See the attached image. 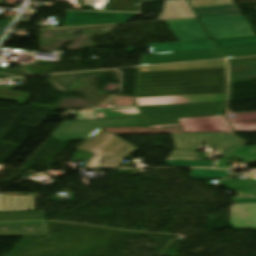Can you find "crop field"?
I'll list each match as a JSON object with an SVG mask.
<instances>
[{
  "label": "crop field",
  "instance_id": "crop-field-1",
  "mask_svg": "<svg viewBox=\"0 0 256 256\" xmlns=\"http://www.w3.org/2000/svg\"><path fill=\"white\" fill-rule=\"evenodd\" d=\"M222 60L139 68L135 98L161 96L160 88L225 84Z\"/></svg>",
  "mask_w": 256,
  "mask_h": 256
},
{
  "label": "crop field",
  "instance_id": "crop-field-2",
  "mask_svg": "<svg viewBox=\"0 0 256 256\" xmlns=\"http://www.w3.org/2000/svg\"><path fill=\"white\" fill-rule=\"evenodd\" d=\"M176 149H193V151H172L168 160H196L199 154L194 151L204 144L222 152L223 157L250 143L235 136L234 133L171 134Z\"/></svg>",
  "mask_w": 256,
  "mask_h": 256
},
{
  "label": "crop field",
  "instance_id": "crop-field-3",
  "mask_svg": "<svg viewBox=\"0 0 256 256\" xmlns=\"http://www.w3.org/2000/svg\"><path fill=\"white\" fill-rule=\"evenodd\" d=\"M143 125L180 124L178 118L224 115L225 102L139 107Z\"/></svg>",
  "mask_w": 256,
  "mask_h": 256
},
{
  "label": "crop field",
  "instance_id": "crop-field-4",
  "mask_svg": "<svg viewBox=\"0 0 256 256\" xmlns=\"http://www.w3.org/2000/svg\"><path fill=\"white\" fill-rule=\"evenodd\" d=\"M77 150L95 153L89 163L92 168L118 167L137 148L121 138L101 131L82 144Z\"/></svg>",
  "mask_w": 256,
  "mask_h": 256
},
{
  "label": "crop field",
  "instance_id": "crop-field-5",
  "mask_svg": "<svg viewBox=\"0 0 256 256\" xmlns=\"http://www.w3.org/2000/svg\"><path fill=\"white\" fill-rule=\"evenodd\" d=\"M142 117L63 121L51 135L58 141L87 140L101 128L141 126Z\"/></svg>",
  "mask_w": 256,
  "mask_h": 256
},
{
  "label": "crop field",
  "instance_id": "crop-field-6",
  "mask_svg": "<svg viewBox=\"0 0 256 256\" xmlns=\"http://www.w3.org/2000/svg\"><path fill=\"white\" fill-rule=\"evenodd\" d=\"M212 39L253 35L248 21L243 16L200 18Z\"/></svg>",
  "mask_w": 256,
  "mask_h": 256
},
{
  "label": "crop field",
  "instance_id": "crop-field-7",
  "mask_svg": "<svg viewBox=\"0 0 256 256\" xmlns=\"http://www.w3.org/2000/svg\"><path fill=\"white\" fill-rule=\"evenodd\" d=\"M137 14L67 12L63 27L127 22Z\"/></svg>",
  "mask_w": 256,
  "mask_h": 256
},
{
  "label": "crop field",
  "instance_id": "crop-field-8",
  "mask_svg": "<svg viewBox=\"0 0 256 256\" xmlns=\"http://www.w3.org/2000/svg\"><path fill=\"white\" fill-rule=\"evenodd\" d=\"M185 133L202 132H232L231 127L224 120L223 116L179 119ZM178 126V125H171ZM161 127V126H152Z\"/></svg>",
  "mask_w": 256,
  "mask_h": 256
},
{
  "label": "crop field",
  "instance_id": "crop-field-9",
  "mask_svg": "<svg viewBox=\"0 0 256 256\" xmlns=\"http://www.w3.org/2000/svg\"><path fill=\"white\" fill-rule=\"evenodd\" d=\"M220 59L216 50L142 56L140 65Z\"/></svg>",
  "mask_w": 256,
  "mask_h": 256
},
{
  "label": "crop field",
  "instance_id": "crop-field-10",
  "mask_svg": "<svg viewBox=\"0 0 256 256\" xmlns=\"http://www.w3.org/2000/svg\"><path fill=\"white\" fill-rule=\"evenodd\" d=\"M0 236H46V221L0 222Z\"/></svg>",
  "mask_w": 256,
  "mask_h": 256
},
{
  "label": "crop field",
  "instance_id": "crop-field-11",
  "mask_svg": "<svg viewBox=\"0 0 256 256\" xmlns=\"http://www.w3.org/2000/svg\"><path fill=\"white\" fill-rule=\"evenodd\" d=\"M178 41L209 39L198 19L165 21Z\"/></svg>",
  "mask_w": 256,
  "mask_h": 256
},
{
  "label": "crop field",
  "instance_id": "crop-field-12",
  "mask_svg": "<svg viewBox=\"0 0 256 256\" xmlns=\"http://www.w3.org/2000/svg\"><path fill=\"white\" fill-rule=\"evenodd\" d=\"M139 106L224 101V94L172 96L136 99Z\"/></svg>",
  "mask_w": 256,
  "mask_h": 256
},
{
  "label": "crop field",
  "instance_id": "crop-field-13",
  "mask_svg": "<svg viewBox=\"0 0 256 256\" xmlns=\"http://www.w3.org/2000/svg\"><path fill=\"white\" fill-rule=\"evenodd\" d=\"M150 52L154 54L160 53H176L190 52L206 49H214L210 40L183 41L174 43L148 44Z\"/></svg>",
  "mask_w": 256,
  "mask_h": 256
},
{
  "label": "crop field",
  "instance_id": "crop-field-14",
  "mask_svg": "<svg viewBox=\"0 0 256 256\" xmlns=\"http://www.w3.org/2000/svg\"><path fill=\"white\" fill-rule=\"evenodd\" d=\"M230 82L256 80V57L227 60Z\"/></svg>",
  "mask_w": 256,
  "mask_h": 256
},
{
  "label": "crop field",
  "instance_id": "crop-field-15",
  "mask_svg": "<svg viewBox=\"0 0 256 256\" xmlns=\"http://www.w3.org/2000/svg\"><path fill=\"white\" fill-rule=\"evenodd\" d=\"M230 225L256 229V203L236 204L231 207Z\"/></svg>",
  "mask_w": 256,
  "mask_h": 256
},
{
  "label": "crop field",
  "instance_id": "crop-field-16",
  "mask_svg": "<svg viewBox=\"0 0 256 256\" xmlns=\"http://www.w3.org/2000/svg\"><path fill=\"white\" fill-rule=\"evenodd\" d=\"M219 186H226L236 191L238 196L231 198L235 203L256 202V179L251 181H234L232 179L219 182Z\"/></svg>",
  "mask_w": 256,
  "mask_h": 256
},
{
  "label": "crop field",
  "instance_id": "crop-field-17",
  "mask_svg": "<svg viewBox=\"0 0 256 256\" xmlns=\"http://www.w3.org/2000/svg\"><path fill=\"white\" fill-rule=\"evenodd\" d=\"M196 18L187 0L164 2L163 12L156 21L170 19Z\"/></svg>",
  "mask_w": 256,
  "mask_h": 256
},
{
  "label": "crop field",
  "instance_id": "crop-field-18",
  "mask_svg": "<svg viewBox=\"0 0 256 256\" xmlns=\"http://www.w3.org/2000/svg\"><path fill=\"white\" fill-rule=\"evenodd\" d=\"M34 210V196L0 195V211Z\"/></svg>",
  "mask_w": 256,
  "mask_h": 256
},
{
  "label": "crop field",
  "instance_id": "crop-field-19",
  "mask_svg": "<svg viewBox=\"0 0 256 256\" xmlns=\"http://www.w3.org/2000/svg\"><path fill=\"white\" fill-rule=\"evenodd\" d=\"M162 96L225 93V85L161 89Z\"/></svg>",
  "mask_w": 256,
  "mask_h": 256
},
{
  "label": "crop field",
  "instance_id": "crop-field-20",
  "mask_svg": "<svg viewBox=\"0 0 256 256\" xmlns=\"http://www.w3.org/2000/svg\"><path fill=\"white\" fill-rule=\"evenodd\" d=\"M235 118H227L236 132H256V112L231 114Z\"/></svg>",
  "mask_w": 256,
  "mask_h": 256
},
{
  "label": "crop field",
  "instance_id": "crop-field-21",
  "mask_svg": "<svg viewBox=\"0 0 256 256\" xmlns=\"http://www.w3.org/2000/svg\"><path fill=\"white\" fill-rule=\"evenodd\" d=\"M198 17L240 15L241 12L236 4L209 8L194 9Z\"/></svg>",
  "mask_w": 256,
  "mask_h": 256
},
{
  "label": "crop field",
  "instance_id": "crop-field-22",
  "mask_svg": "<svg viewBox=\"0 0 256 256\" xmlns=\"http://www.w3.org/2000/svg\"><path fill=\"white\" fill-rule=\"evenodd\" d=\"M97 118L142 116L138 107L105 108L96 110Z\"/></svg>",
  "mask_w": 256,
  "mask_h": 256
},
{
  "label": "crop field",
  "instance_id": "crop-field-23",
  "mask_svg": "<svg viewBox=\"0 0 256 256\" xmlns=\"http://www.w3.org/2000/svg\"><path fill=\"white\" fill-rule=\"evenodd\" d=\"M230 158H237L240 160L251 162L252 160L256 159V146L244 147L227 155L226 157L218 160L215 167L219 169L227 168V159Z\"/></svg>",
  "mask_w": 256,
  "mask_h": 256
},
{
  "label": "crop field",
  "instance_id": "crop-field-24",
  "mask_svg": "<svg viewBox=\"0 0 256 256\" xmlns=\"http://www.w3.org/2000/svg\"><path fill=\"white\" fill-rule=\"evenodd\" d=\"M215 45L220 48L256 46V36L214 39Z\"/></svg>",
  "mask_w": 256,
  "mask_h": 256
},
{
  "label": "crop field",
  "instance_id": "crop-field-25",
  "mask_svg": "<svg viewBox=\"0 0 256 256\" xmlns=\"http://www.w3.org/2000/svg\"><path fill=\"white\" fill-rule=\"evenodd\" d=\"M26 219L45 220L44 211L0 212V221Z\"/></svg>",
  "mask_w": 256,
  "mask_h": 256
},
{
  "label": "crop field",
  "instance_id": "crop-field-26",
  "mask_svg": "<svg viewBox=\"0 0 256 256\" xmlns=\"http://www.w3.org/2000/svg\"><path fill=\"white\" fill-rule=\"evenodd\" d=\"M14 87L0 85V100L19 102L18 105H24L29 94L12 91Z\"/></svg>",
  "mask_w": 256,
  "mask_h": 256
},
{
  "label": "crop field",
  "instance_id": "crop-field-27",
  "mask_svg": "<svg viewBox=\"0 0 256 256\" xmlns=\"http://www.w3.org/2000/svg\"><path fill=\"white\" fill-rule=\"evenodd\" d=\"M229 172L218 170L192 169L191 178L202 181L227 178Z\"/></svg>",
  "mask_w": 256,
  "mask_h": 256
},
{
  "label": "crop field",
  "instance_id": "crop-field-28",
  "mask_svg": "<svg viewBox=\"0 0 256 256\" xmlns=\"http://www.w3.org/2000/svg\"><path fill=\"white\" fill-rule=\"evenodd\" d=\"M219 51L224 58L256 56V47L229 48Z\"/></svg>",
  "mask_w": 256,
  "mask_h": 256
},
{
  "label": "crop field",
  "instance_id": "crop-field-29",
  "mask_svg": "<svg viewBox=\"0 0 256 256\" xmlns=\"http://www.w3.org/2000/svg\"><path fill=\"white\" fill-rule=\"evenodd\" d=\"M215 161H165L171 167H212Z\"/></svg>",
  "mask_w": 256,
  "mask_h": 256
},
{
  "label": "crop field",
  "instance_id": "crop-field-30",
  "mask_svg": "<svg viewBox=\"0 0 256 256\" xmlns=\"http://www.w3.org/2000/svg\"><path fill=\"white\" fill-rule=\"evenodd\" d=\"M158 1H169V0H138L139 3L158 2Z\"/></svg>",
  "mask_w": 256,
  "mask_h": 256
},
{
  "label": "crop field",
  "instance_id": "crop-field-31",
  "mask_svg": "<svg viewBox=\"0 0 256 256\" xmlns=\"http://www.w3.org/2000/svg\"><path fill=\"white\" fill-rule=\"evenodd\" d=\"M9 23H10V21L0 22V28L8 27Z\"/></svg>",
  "mask_w": 256,
  "mask_h": 256
},
{
  "label": "crop field",
  "instance_id": "crop-field-32",
  "mask_svg": "<svg viewBox=\"0 0 256 256\" xmlns=\"http://www.w3.org/2000/svg\"><path fill=\"white\" fill-rule=\"evenodd\" d=\"M92 164H87L85 168H91Z\"/></svg>",
  "mask_w": 256,
  "mask_h": 256
},
{
  "label": "crop field",
  "instance_id": "crop-field-33",
  "mask_svg": "<svg viewBox=\"0 0 256 256\" xmlns=\"http://www.w3.org/2000/svg\"><path fill=\"white\" fill-rule=\"evenodd\" d=\"M2 33H0V35H1Z\"/></svg>",
  "mask_w": 256,
  "mask_h": 256
}]
</instances>
